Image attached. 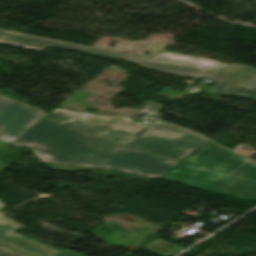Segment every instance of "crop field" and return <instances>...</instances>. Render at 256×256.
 Segmentation results:
<instances>
[{"mask_svg":"<svg viewBox=\"0 0 256 256\" xmlns=\"http://www.w3.org/2000/svg\"><path fill=\"white\" fill-rule=\"evenodd\" d=\"M45 119L89 135L128 145L148 125L131 121L123 116L105 117L93 113L55 108Z\"/></svg>","mask_w":256,"mask_h":256,"instance_id":"crop-field-3","label":"crop field"},{"mask_svg":"<svg viewBox=\"0 0 256 256\" xmlns=\"http://www.w3.org/2000/svg\"><path fill=\"white\" fill-rule=\"evenodd\" d=\"M202 190L256 200V179L178 163L160 177Z\"/></svg>","mask_w":256,"mask_h":256,"instance_id":"crop-field-4","label":"crop field"},{"mask_svg":"<svg viewBox=\"0 0 256 256\" xmlns=\"http://www.w3.org/2000/svg\"><path fill=\"white\" fill-rule=\"evenodd\" d=\"M56 256H83L79 253H76L74 251H71V250H68V249H65L64 251L60 252L58 255Z\"/></svg>","mask_w":256,"mask_h":256,"instance_id":"crop-field-10","label":"crop field"},{"mask_svg":"<svg viewBox=\"0 0 256 256\" xmlns=\"http://www.w3.org/2000/svg\"><path fill=\"white\" fill-rule=\"evenodd\" d=\"M183 161L256 178V162L212 144H204Z\"/></svg>","mask_w":256,"mask_h":256,"instance_id":"crop-field-7","label":"crop field"},{"mask_svg":"<svg viewBox=\"0 0 256 256\" xmlns=\"http://www.w3.org/2000/svg\"><path fill=\"white\" fill-rule=\"evenodd\" d=\"M205 141L191 131L156 122L130 146L181 160Z\"/></svg>","mask_w":256,"mask_h":256,"instance_id":"crop-field-5","label":"crop field"},{"mask_svg":"<svg viewBox=\"0 0 256 256\" xmlns=\"http://www.w3.org/2000/svg\"><path fill=\"white\" fill-rule=\"evenodd\" d=\"M0 43L43 51L49 45L122 59L143 67L165 70L194 78L214 80V86L204 90L211 95H233L256 100V68L241 64H226L183 55L161 53L149 59L104 49L72 44L0 29Z\"/></svg>","mask_w":256,"mask_h":256,"instance_id":"crop-field-2","label":"crop field"},{"mask_svg":"<svg viewBox=\"0 0 256 256\" xmlns=\"http://www.w3.org/2000/svg\"><path fill=\"white\" fill-rule=\"evenodd\" d=\"M47 113L0 95V141L12 144Z\"/></svg>","mask_w":256,"mask_h":256,"instance_id":"crop-field-6","label":"crop field"},{"mask_svg":"<svg viewBox=\"0 0 256 256\" xmlns=\"http://www.w3.org/2000/svg\"><path fill=\"white\" fill-rule=\"evenodd\" d=\"M3 207V204L0 202V209Z\"/></svg>","mask_w":256,"mask_h":256,"instance_id":"crop-field-11","label":"crop field"},{"mask_svg":"<svg viewBox=\"0 0 256 256\" xmlns=\"http://www.w3.org/2000/svg\"><path fill=\"white\" fill-rule=\"evenodd\" d=\"M0 256H26V255L0 246Z\"/></svg>","mask_w":256,"mask_h":256,"instance_id":"crop-field-9","label":"crop field"},{"mask_svg":"<svg viewBox=\"0 0 256 256\" xmlns=\"http://www.w3.org/2000/svg\"><path fill=\"white\" fill-rule=\"evenodd\" d=\"M12 145L32 149L43 164L64 171L106 168L159 178L178 163L44 120Z\"/></svg>","mask_w":256,"mask_h":256,"instance_id":"crop-field-1","label":"crop field"},{"mask_svg":"<svg viewBox=\"0 0 256 256\" xmlns=\"http://www.w3.org/2000/svg\"><path fill=\"white\" fill-rule=\"evenodd\" d=\"M1 216V215H0ZM20 225L0 217V243L32 256H55L58 252L10 235Z\"/></svg>","mask_w":256,"mask_h":256,"instance_id":"crop-field-8","label":"crop field"}]
</instances>
